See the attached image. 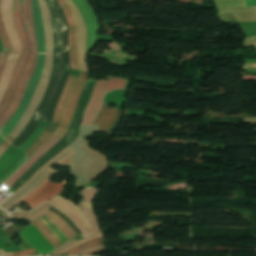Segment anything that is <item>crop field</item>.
<instances>
[{"label": "crop field", "mask_w": 256, "mask_h": 256, "mask_svg": "<svg viewBox=\"0 0 256 256\" xmlns=\"http://www.w3.org/2000/svg\"><path fill=\"white\" fill-rule=\"evenodd\" d=\"M42 4V12L45 24V32H46V55H45V33H44V24L41 12V4ZM32 0V13H33V23L34 29L37 39V48H38V57L36 62L35 72L26 88L24 93L23 99L19 108L10 118V120L6 123V125L1 129L0 136L4 139L6 136L11 132L14 128L16 123L19 121L23 113L25 112L40 80L42 75L43 69V62H44V55H45V62H44V69L42 80L20 121L15 126L13 131L10 133L9 136L12 138H16V136L23 130V128L27 125L28 121L30 120L38 102L40 101L48 82V78L51 72L52 67V51H53V38H52V28H51V20L49 10L46 6L45 0ZM7 137L5 140L8 142H12L14 139L11 137Z\"/></svg>", "instance_id": "crop-field-1"}, {"label": "crop field", "mask_w": 256, "mask_h": 256, "mask_svg": "<svg viewBox=\"0 0 256 256\" xmlns=\"http://www.w3.org/2000/svg\"><path fill=\"white\" fill-rule=\"evenodd\" d=\"M22 17L24 21V25L26 28V32L28 35V39L30 42L31 50L28 58L27 65L25 66L21 79L16 87L14 96L9 107L4 111V113L0 116V129L3 125L8 121V119L12 116L15 110L18 108L20 101L22 99L23 93L25 91L26 85L32 75V72L35 67L37 50H36V39L32 24V14H31V0H23L22 2Z\"/></svg>", "instance_id": "crop-field-2"}, {"label": "crop field", "mask_w": 256, "mask_h": 256, "mask_svg": "<svg viewBox=\"0 0 256 256\" xmlns=\"http://www.w3.org/2000/svg\"><path fill=\"white\" fill-rule=\"evenodd\" d=\"M21 2L22 0H12L11 5V15L14 22V26L19 38V41L22 46V52L20 57L13 69L11 79L8 83L7 90L0 101V115L9 105L11 98L13 96L16 84L21 76L22 70L26 64L28 53H29V42L27 39V35L25 32V28L23 25L22 17H21Z\"/></svg>", "instance_id": "crop-field-3"}, {"label": "crop field", "mask_w": 256, "mask_h": 256, "mask_svg": "<svg viewBox=\"0 0 256 256\" xmlns=\"http://www.w3.org/2000/svg\"><path fill=\"white\" fill-rule=\"evenodd\" d=\"M125 83L126 79L120 77H111L109 81L97 80L81 125L92 124L102 107L104 95L110 91L124 89Z\"/></svg>", "instance_id": "crop-field-4"}, {"label": "crop field", "mask_w": 256, "mask_h": 256, "mask_svg": "<svg viewBox=\"0 0 256 256\" xmlns=\"http://www.w3.org/2000/svg\"><path fill=\"white\" fill-rule=\"evenodd\" d=\"M97 192V188H92V187H86L84 188L79 194L82 195V200L79 202V204L77 205L80 209V211L82 212V214L84 215V217L86 218V220L88 221V223L91 225V227L93 229L89 230V231H85L81 225L73 218V216L67 212L63 207L49 201L47 203L51 204L52 206H54L55 208H57L59 211H61L63 214H65L83 233L80 234L83 238L91 235V234H95V233H99L100 228H99V223H98V219L92 209V201L95 198V194Z\"/></svg>", "instance_id": "crop-field-5"}, {"label": "crop field", "mask_w": 256, "mask_h": 256, "mask_svg": "<svg viewBox=\"0 0 256 256\" xmlns=\"http://www.w3.org/2000/svg\"><path fill=\"white\" fill-rule=\"evenodd\" d=\"M77 78L78 77H75V76H70V75L68 76L63 92L55 108L52 123L25 152L28 158L32 156L40 148V146L51 136V134L57 129L60 119L63 115L66 103L73 91V87Z\"/></svg>", "instance_id": "crop-field-6"}, {"label": "crop field", "mask_w": 256, "mask_h": 256, "mask_svg": "<svg viewBox=\"0 0 256 256\" xmlns=\"http://www.w3.org/2000/svg\"><path fill=\"white\" fill-rule=\"evenodd\" d=\"M51 206L47 204H42L39 206L37 209L31 211V212H12L10 213V218H25L28 221L32 222L33 220L41 217L42 215L50 212L47 209L50 208ZM46 216L53 222V224L63 233V235L69 240L75 235H77L71 228L70 226L63 221L61 218L56 216L54 213L50 212L46 214Z\"/></svg>", "instance_id": "crop-field-7"}, {"label": "crop field", "mask_w": 256, "mask_h": 256, "mask_svg": "<svg viewBox=\"0 0 256 256\" xmlns=\"http://www.w3.org/2000/svg\"><path fill=\"white\" fill-rule=\"evenodd\" d=\"M10 3H11V0H1L0 10H1L3 23L8 33V36L10 38V41L12 44V50H13V52H11L8 55L6 61H16L19 56L21 46L18 41L14 26H13V22L10 16Z\"/></svg>", "instance_id": "crop-field-8"}, {"label": "crop field", "mask_w": 256, "mask_h": 256, "mask_svg": "<svg viewBox=\"0 0 256 256\" xmlns=\"http://www.w3.org/2000/svg\"><path fill=\"white\" fill-rule=\"evenodd\" d=\"M18 234L28 242L39 255H45L55 249L32 223Z\"/></svg>", "instance_id": "crop-field-9"}, {"label": "crop field", "mask_w": 256, "mask_h": 256, "mask_svg": "<svg viewBox=\"0 0 256 256\" xmlns=\"http://www.w3.org/2000/svg\"><path fill=\"white\" fill-rule=\"evenodd\" d=\"M60 3L65 17L68 23L69 36H68V47H69V55H70V67L72 70H78L77 63V55H76V26L72 13L70 12L68 6L64 2V0H58Z\"/></svg>", "instance_id": "crop-field-10"}, {"label": "crop field", "mask_w": 256, "mask_h": 256, "mask_svg": "<svg viewBox=\"0 0 256 256\" xmlns=\"http://www.w3.org/2000/svg\"><path fill=\"white\" fill-rule=\"evenodd\" d=\"M66 180H62V183L56 184L52 182H47L45 185L37 189L35 192L27 196L24 200L31 208H35L40 205L42 202L50 199L56 193L60 191V189L65 184Z\"/></svg>", "instance_id": "crop-field-11"}, {"label": "crop field", "mask_w": 256, "mask_h": 256, "mask_svg": "<svg viewBox=\"0 0 256 256\" xmlns=\"http://www.w3.org/2000/svg\"><path fill=\"white\" fill-rule=\"evenodd\" d=\"M60 137L52 135L47 142L19 169L17 170L4 184L9 188L11 187L23 173L39 159V157L59 141Z\"/></svg>", "instance_id": "crop-field-12"}, {"label": "crop field", "mask_w": 256, "mask_h": 256, "mask_svg": "<svg viewBox=\"0 0 256 256\" xmlns=\"http://www.w3.org/2000/svg\"><path fill=\"white\" fill-rule=\"evenodd\" d=\"M87 76H88L87 74L80 71L79 80L77 82V85H76L73 93H72V96L70 98L69 104H68L67 109H66L65 116H64V118L62 120V123L60 125L61 127L65 128V129H68V127H69V124L71 122L72 116H73L74 111H75L78 96H79L80 92L82 91L83 87L86 84Z\"/></svg>", "instance_id": "crop-field-13"}, {"label": "crop field", "mask_w": 256, "mask_h": 256, "mask_svg": "<svg viewBox=\"0 0 256 256\" xmlns=\"http://www.w3.org/2000/svg\"><path fill=\"white\" fill-rule=\"evenodd\" d=\"M119 115L120 110L111 109L104 105L94 124L100 125V129H105L112 132Z\"/></svg>", "instance_id": "crop-field-14"}, {"label": "crop field", "mask_w": 256, "mask_h": 256, "mask_svg": "<svg viewBox=\"0 0 256 256\" xmlns=\"http://www.w3.org/2000/svg\"><path fill=\"white\" fill-rule=\"evenodd\" d=\"M15 62H6L1 78H0V99L5 91L6 85L8 83V80L11 75L12 68L14 66Z\"/></svg>", "instance_id": "crop-field-15"}, {"label": "crop field", "mask_w": 256, "mask_h": 256, "mask_svg": "<svg viewBox=\"0 0 256 256\" xmlns=\"http://www.w3.org/2000/svg\"><path fill=\"white\" fill-rule=\"evenodd\" d=\"M97 244H102V237L93 239V240H91V241H89V242H87L85 244H82V245H80L78 247H75V248H73V249H71V250H69V251H67V252H65V253H63L61 255H73V254H75L76 252H78L80 250H83V249H85L87 247H90V246H93V245H97Z\"/></svg>", "instance_id": "crop-field-16"}, {"label": "crop field", "mask_w": 256, "mask_h": 256, "mask_svg": "<svg viewBox=\"0 0 256 256\" xmlns=\"http://www.w3.org/2000/svg\"><path fill=\"white\" fill-rule=\"evenodd\" d=\"M0 39L2 41L3 51H12L10 41L8 39V36L6 34V31H5L2 21H1V16H0Z\"/></svg>", "instance_id": "crop-field-17"}, {"label": "crop field", "mask_w": 256, "mask_h": 256, "mask_svg": "<svg viewBox=\"0 0 256 256\" xmlns=\"http://www.w3.org/2000/svg\"><path fill=\"white\" fill-rule=\"evenodd\" d=\"M51 201H53V202H55V203H57V204L63 206L67 211H69V212L75 217V219L82 225V227H83L86 231L89 230V229L87 228V226L84 224V222L81 220V218L78 216V214H77L74 210H72L67 204L63 203L62 201H60V200H58V199H56V198H54V199L51 200Z\"/></svg>", "instance_id": "crop-field-18"}, {"label": "crop field", "mask_w": 256, "mask_h": 256, "mask_svg": "<svg viewBox=\"0 0 256 256\" xmlns=\"http://www.w3.org/2000/svg\"><path fill=\"white\" fill-rule=\"evenodd\" d=\"M40 231L41 233L46 237V239L51 243L52 246L55 248L59 247L56 242L50 237V235L44 230V228L38 223L37 220L32 222Z\"/></svg>", "instance_id": "crop-field-19"}, {"label": "crop field", "mask_w": 256, "mask_h": 256, "mask_svg": "<svg viewBox=\"0 0 256 256\" xmlns=\"http://www.w3.org/2000/svg\"><path fill=\"white\" fill-rule=\"evenodd\" d=\"M40 224L45 228V230L51 235V237L58 243V245H62L63 242L54 234V232L51 230V228L43 221L42 218L37 219Z\"/></svg>", "instance_id": "crop-field-20"}, {"label": "crop field", "mask_w": 256, "mask_h": 256, "mask_svg": "<svg viewBox=\"0 0 256 256\" xmlns=\"http://www.w3.org/2000/svg\"><path fill=\"white\" fill-rule=\"evenodd\" d=\"M52 228V230L55 232V234L65 243L68 240L62 235V233L44 216L42 217Z\"/></svg>", "instance_id": "crop-field-21"}, {"label": "crop field", "mask_w": 256, "mask_h": 256, "mask_svg": "<svg viewBox=\"0 0 256 256\" xmlns=\"http://www.w3.org/2000/svg\"><path fill=\"white\" fill-rule=\"evenodd\" d=\"M23 228H15L13 229L12 226H8L6 228L3 229V231L5 232V234L10 237L12 239V237L15 235L16 232H19L20 230H22Z\"/></svg>", "instance_id": "crop-field-22"}, {"label": "crop field", "mask_w": 256, "mask_h": 256, "mask_svg": "<svg viewBox=\"0 0 256 256\" xmlns=\"http://www.w3.org/2000/svg\"><path fill=\"white\" fill-rule=\"evenodd\" d=\"M26 160V156L22 157L20 161L17 163V165L11 169L3 178L2 180H6L13 172H15Z\"/></svg>", "instance_id": "crop-field-23"}, {"label": "crop field", "mask_w": 256, "mask_h": 256, "mask_svg": "<svg viewBox=\"0 0 256 256\" xmlns=\"http://www.w3.org/2000/svg\"><path fill=\"white\" fill-rule=\"evenodd\" d=\"M9 53L10 52L0 53V75H1L3 65H4L5 58Z\"/></svg>", "instance_id": "crop-field-24"}, {"label": "crop field", "mask_w": 256, "mask_h": 256, "mask_svg": "<svg viewBox=\"0 0 256 256\" xmlns=\"http://www.w3.org/2000/svg\"><path fill=\"white\" fill-rule=\"evenodd\" d=\"M75 241H77V240L73 239V240H71V241L65 243L64 245L60 246L58 249H56L55 251H53V252H51V253H49V254H47V255H51V254H53V253H55V252L61 250L62 248H64V247H66V246H68V245L74 243Z\"/></svg>", "instance_id": "crop-field-25"}, {"label": "crop field", "mask_w": 256, "mask_h": 256, "mask_svg": "<svg viewBox=\"0 0 256 256\" xmlns=\"http://www.w3.org/2000/svg\"><path fill=\"white\" fill-rule=\"evenodd\" d=\"M103 251H106L105 247L94 250V251H91L89 253L82 254V255H93V254H97V253H100V252H103Z\"/></svg>", "instance_id": "crop-field-26"}, {"label": "crop field", "mask_w": 256, "mask_h": 256, "mask_svg": "<svg viewBox=\"0 0 256 256\" xmlns=\"http://www.w3.org/2000/svg\"><path fill=\"white\" fill-rule=\"evenodd\" d=\"M256 6V0H245V7Z\"/></svg>", "instance_id": "crop-field-27"}, {"label": "crop field", "mask_w": 256, "mask_h": 256, "mask_svg": "<svg viewBox=\"0 0 256 256\" xmlns=\"http://www.w3.org/2000/svg\"><path fill=\"white\" fill-rule=\"evenodd\" d=\"M100 247H103V245H98V246H94V247L88 248V249H86V250H84V251H81V252L78 253V254H75V255H80V254H82V253L89 252V251H91V250H94V249H97V248H100Z\"/></svg>", "instance_id": "crop-field-28"}, {"label": "crop field", "mask_w": 256, "mask_h": 256, "mask_svg": "<svg viewBox=\"0 0 256 256\" xmlns=\"http://www.w3.org/2000/svg\"><path fill=\"white\" fill-rule=\"evenodd\" d=\"M3 146H5L6 148L10 145L9 143H7L5 140H4V142H3V144H2ZM0 146V155L4 152V150L6 149L5 147H3V146Z\"/></svg>", "instance_id": "crop-field-29"}, {"label": "crop field", "mask_w": 256, "mask_h": 256, "mask_svg": "<svg viewBox=\"0 0 256 256\" xmlns=\"http://www.w3.org/2000/svg\"><path fill=\"white\" fill-rule=\"evenodd\" d=\"M30 251H33V249L26 250V251H23V252H20V253H13L12 255L28 253V252H30Z\"/></svg>", "instance_id": "crop-field-30"}, {"label": "crop field", "mask_w": 256, "mask_h": 256, "mask_svg": "<svg viewBox=\"0 0 256 256\" xmlns=\"http://www.w3.org/2000/svg\"><path fill=\"white\" fill-rule=\"evenodd\" d=\"M35 253H36V251L31 252V253H29V254H25V255H16V256H30V255H33V254H35Z\"/></svg>", "instance_id": "crop-field-31"}, {"label": "crop field", "mask_w": 256, "mask_h": 256, "mask_svg": "<svg viewBox=\"0 0 256 256\" xmlns=\"http://www.w3.org/2000/svg\"><path fill=\"white\" fill-rule=\"evenodd\" d=\"M3 140H4V139H3L2 137H0V144L2 143Z\"/></svg>", "instance_id": "crop-field-32"}, {"label": "crop field", "mask_w": 256, "mask_h": 256, "mask_svg": "<svg viewBox=\"0 0 256 256\" xmlns=\"http://www.w3.org/2000/svg\"><path fill=\"white\" fill-rule=\"evenodd\" d=\"M3 212L0 211V215L2 214Z\"/></svg>", "instance_id": "crop-field-33"}, {"label": "crop field", "mask_w": 256, "mask_h": 256, "mask_svg": "<svg viewBox=\"0 0 256 256\" xmlns=\"http://www.w3.org/2000/svg\"><path fill=\"white\" fill-rule=\"evenodd\" d=\"M2 184V182H0V185Z\"/></svg>", "instance_id": "crop-field-34"}, {"label": "crop field", "mask_w": 256, "mask_h": 256, "mask_svg": "<svg viewBox=\"0 0 256 256\" xmlns=\"http://www.w3.org/2000/svg\"><path fill=\"white\" fill-rule=\"evenodd\" d=\"M255 45H256V43H255Z\"/></svg>", "instance_id": "crop-field-35"}]
</instances>
